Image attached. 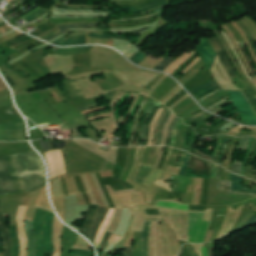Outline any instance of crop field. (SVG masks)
<instances>
[{
	"instance_id": "13",
	"label": "crop field",
	"mask_w": 256,
	"mask_h": 256,
	"mask_svg": "<svg viewBox=\"0 0 256 256\" xmlns=\"http://www.w3.org/2000/svg\"><path fill=\"white\" fill-rule=\"evenodd\" d=\"M7 216L8 214L0 212V229L2 232V237L5 242V251L3 256H10V252H11V241L9 239L8 231L5 225V217Z\"/></svg>"
},
{
	"instance_id": "67",
	"label": "crop field",
	"mask_w": 256,
	"mask_h": 256,
	"mask_svg": "<svg viewBox=\"0 0 256 256\" xmlns=\"http://www.w3.org/2000/svg\"><path fill=\"white\" fill-rule=\"evenodd\" d=\"M204 113H205V112L202 111V112L198 113L197 115L193 116L192 118H190V120H193V119H195V118H197V117L203 115Z\"/></svg>"
},
{
	"instance_id": "6",
	"label": "crop field",
	"mask_w": 256,
	"mask_h": 256,
	"mask_svg": "<svg viewBox=\"0 0 256 256\" xmlns=\"http://www.w3.org/2000/svg\"><path fill=\"white\" fill-rule=\"evenodd\" d=\"M27 207L20 206L17 214V228H18V235L20 240V255L19 256H25L26 250H27V238L25 235L23 220L24 215Z\"/></svg>"
},
{
	"instance_id": "46",
	"label": "crop field",
	"mask_w": 256,
	"mask_h": 256,
	"mask_svg": "<svg viewBox=\"0 0 256 256\" xmlns=\"http://www.w3.org/2000/svg\"><path fill=\"white\" fill-rule=\"evenodd\" d=\"M228 99H229V96H228V97H226L225 99L221 100L220 102H218V103L214 104L213 106L209 107L207 110H209V111H210V110H212V109L216 108L217 106H219V105H221V104L225 103Z\"/></svg>"
},
{
	"instance_id": "51",
	"label": "crop field",
	"mask_w": 256,
	"mask_h": 256,
	"mask_svg": "<svg viewBox=\"0 0 256 256\" xmlns=\"http://www.w3.org/2000/svg\"><path fill=\"white\" fill-rule=\"evenodd\" d=\"M236 124L233 123H228L226 124L224 127L221 128V130L227 131L228 129H230L231 127L235 126Z\"/></svg>"
},
{
	"instance_id": "43",
	"label": "crop field",
	"mask_w": 256,
	"mask_h": 256,
	"mask_svg": "<svg viewBox=\"0 0 256 256\" xmlns=\"http://www.w3.org/2000/svg\"><path fill=\"white\" fill-rule=\"evenodd\" d=\"M183 249L191 256H199L190 245H184Z\"/></svg>"
},
{
	"instance_id": "49",
	"label": "crop field",
	"mask_w": 256,
	"mask_h": 256,
	"mask_svg": "<svg viewBox=\"0 0 256 256\" xmlns=\"http://www.w3.org/2000/svg\"><path fill=\"white\" fill-rule=\"evenodd\" d=\"M107 113H109V112H108V109H107V110H104V111L92 113V114H89V115H85V117H86V118H89V117H92V116L101 115V114H107Z\"/></svg>"
},
{
	"instance_id": "3",
	"label": "crop field",
	"mask_w": 256,
	"mask_h": 256,
	"mask_svg": "<svg viewBox=\"0 0 256 256\" xmlns=\"http://www.w3.org/2000/svg\"><path fill=\"white\" fill-rule=\"evenodd\" d=\"M27 140L24 123L0 125V141Z\"/></svg>"
},
{
	"instance_id": "10",
	"label": "crop field",
	"mask_w": 256,
	"mask_h": 256,
	"mask_svg": "<svg viewBox=\"0 0 256 256\" xmlns=\"http://www.w3.org/2000/svg\"><path fill=\"white\" fill-rule=\"evenodd\" d=\"M163 221V220H159ZM152 220H147L141 236L142 256H149V243L151 235Z\"/></svg>"
},
{
	"instance_id": "72",
	"label": "crop field",
	"mask_w": 256,
	"mask_h": 256,
	"mask_svg": "<svg viewBox=\"0 0 256 256\" xmlns=\"http://www.w3.org/2000/svg\"><path fill=\"white\" fill-rule=\"evenodd\" d=\"M3 245L2 239H1V233H0V246Z\"/></svg>"
},
{
	"instance_id": "21",
	"label": "crop field",
	"mask_w": 256,
	"mask_h": 256,
	"mask_svg": "<svg viewBox=\"0 0 256 256\" xmlns=\"http://www.w3.org/2000/svg\"><path fill=\"white\" fill-rule=\"evenodd\" d=\"M81 25H95V24H75V25H61V26H58L59 29H60V32L58 34H56L55 36L45 40V41H50L52 40L53 38L65 33V32H68V28H80V27H89V26H81ZM103 27H108L107 25H101L100 27H93V28H103Z\"/></svg>"
},
{
	"instance_id": "31",
	"label": "crop field",
	"mask_w": 256,
	"mask_h": 256,
	"mask_svg": "<svg viewBox=\"0 0 256 256\" xmlns=\"http://www.w3.org/2000/svg\"><path fill=\"white\" fill-rule=\"evenodd\" d=\"M154 104H155V103L152 102V104L150 105V107H149V109H148V112H147V114H146V116H145V118H144L143 127H142V133H141V138H140V141H139V143H138L137 146H139V145L142 144V141H143V139H144L145 123H146V121H147V119H148V117H149L150 111H151L152 107L154 106Z\"/></svg>"
},
{
	"instance_id": "57",
	"label": "crop field",
	"mask_w": 256,
	"mask_h": 256,
	"mask_svg": "<svg viewBox=\"0 0 256 256\" xmlns=\"http://www.w3.org/2000/svg\"><path fill=\"white\" fill-rule=\"evenodd\" d=\"M185 154H186V153L182 151V154H181V157H180V160H179L177 166H179V167L182 166V162H183V159H184Z\"/></svg>"
},
{
	"instance_id": "44",
	"label": "crop field",
	"mask_w": 256,
	"mask_h": 256,
	"mask_svg": "<svg viewBox=\"0 0 256 256\" xmlns=\"http://www.w3.org/2000/svg\"><path fill=\"white\" fill-rule=\"evenodd\" d=\"M110 235H111V233L106 232V234H105V236H104V238H103V240H102L101 246H100V247H101V250L104 249V247H105V245H106V243H107V241H108Z\"/></svg>"
},
{
	"instance_id": "7",
	"label": "crop field",
	"mask_w": 256,
	"mask_h": 256,
	"mask_svg": "<svg viewBox=\"0 0 256 256\" xmlns=\"http://www.w3.org/2000/svg\"><path fill=\"white\" fill-rule=\"evenodd\" d=\"M208 40L211 42L214 50L219 55L220 60H221L222 64L225 66L230 78L236 76V73H235V71H234V69H233V67H232V65H231V63H230V61H229V59L226 55V50L222 46L223 44L221 45L220 41L217 38H215L213 40H210V39H208Z\"/></svg>"
},
{
	"instance_id": "53",
	"label": "crop field",
	"mask_w": 256,
	"mask_h": 256,
	"mask_svg": "<svg viewBox=\"0 0 256 256\" xmlns=\"http://www.w3.org/2000/svg\"><path fill=\"white\" fill-rule=\"evenodd\" d=\"M178 119H179V118L175 117V119H174V121H173V123H172V125H171V127H170V129H169L168 137H170V138H171V130H172V128L174 127V125L176 124V122L178 121Z\"/></svg>"
},
{
	"instance_id": "35",
	"label": "crop field",
	"mask_w": 256,
	"mask_h": 256,
	"mask_svg": "<svg viewBox=\"0 0 256 256\" xmlns=\"http://www.w3.org/2000/svg\"><path fill=\"white\" fill-rule=\"evenodd\" d=\"M44 13H46V11L43 10V9H41V10H39V11H37V12H35V13L29 15L28 17H26V18H24V19H25L27 22H28V21H32L33 19L39 17L40 15H42V14H44Z\"/></svg>"
},
{
	"instance_id": "4",
	"label": "crop field",
	"mask_w": 256,
	"mask_h": 256,
	"mask_svg": "<svg viewBox=\"0 0 256 256\" xmlns=\"http://www.w3.org/2000/svg\"><path fill=\"white\" fill-rule=\"evenodd\" d=\"M45 155L47 158L51 179L57 175L66 173L60 150L50 151Z\"/></svg>"
},
{
	"instance_id": "37",
	"label": "crop field",
	"mask_w": 256,
	"mask_h": 256,
	"mask_svg": "<svg viewBox=\"0 0 256 256\" xmlns=\"http://www.w3.org/2000/svg\"><path fill=\"white\" fill-rule=\"evenodd\" d=\"M69 82H70L71 86L74 88V90L76 91L79 98H84L79 86L76 83V81L69 80Z\"/></svg>"
},
{
	"instance_id": "22",
	"label": "crop field",
	"mask_w": 256,
	"mask_h": 256,
	"mask_svg": "<svg viewBox=\"0 0 256 256\" xmlns=\"http://www.w3.org/2000/svg\"><path fill=\"white\" fill-rule=\"evenodd\" d=\"M218 189L223 190L226 193L256 195V194H248V193H240V192L231 191V181L218 180Z\"/></svg>"
},
{
	"instance_id": "70",
	"label": "crop field",
	"mask_w": 256,
	"mask_h": 256,
	"mask_svg": "<svg viewBox=\"0 0 256 256\" xmlns=\"http://www.w3.org/2000/svg\"><path fill=\"white\" fill-rule=\"evenodd\" d=\"M70 256H87V255L70 254Z\"/></svg>"
},
{
	"instance_id": "62",
	"label": "crop field",
	"mask_w": 256,
	"mask_h": 256,
	"mask_svg": "<svg viewBox=\"0 0 256 256\" xmlns=\"http://www.w3.org/2000/svg\"><path fill=\"white\" fill-rule=\"evenodd\" d=\"M210 114H205V115H203V116H201V117H199L198 119H196V120H194L195 122H200L202 119H204V118H206L207 116H209Z\"/></svg>"
},
{
	"instance_id": "38",
	"label": "crop field",
	"mask_w": 256,
	"mask_h": 256,
	"mask_svg": "<svg viewBox=\"0 0 256 256\" xmlns=\"http://www.w3.org/2000/svg\"><path fill=\"white\" fill-rule=\"evenodd\" d=\"M147 55L144 54L142 51L135 56L131 61H133L134 63L138 64L141 60H143Z\"/></svg>"
},
{
	"instance_id": "32",
	"label": "crop field",
	"mask_w": 256,
	"mask_h": 256,
	"mask_svg": "<svg viewBox=\"0 0 256 256\" xmlns=\"http://www.w3.org/2000/svg\"><path fill=\"white\" fill-rule=\"evenodd\" d=\"M172 112L169 110V112L167 113V115L165 116V118L163 119L162 121V125H161V128H160V134H159V140H158V144L157 145H161V142H162V138H163V131H164V126L166 124V121L169 117V115L171 114Z\"/></svg>"
},
{
	"instance_id": "41",
	"label": "crop field",
	"mask_w": 256,
	"mask_h": 256,
	"mask_svg": "<svg viewBox=\"0 0 256 256\" xmlns=\"http://www.w3.org/2000/svg\"><path fill=\"white\" fill-rule=\"evenodd\" d=\"M189 156H190V155L187 154V155H186V158H185V160H184V162H183L182 169H181V171H180V173H179V175H181V176H184V174H185L186 167H187L188 160H189Z\"/></svg>"
},
{
	"instance_id": "20",
	"label": "crop field",
	"mask_w": 256,
	"mask_h": 256,
	"mask_svg": "<svg viewBox=\"0 0 256 256\" xmlns=\"http://www.w3.org/2000/svg\"><path fill=\"white\" fill-rule=\"evenodd\" d=\"M9 235H10V239H11L12 245H13L12 256H18L19 255V241H18L16 226H11V228H9Z\"/></svg>"
},
{
	"instance_id": "40",
	"label": "crop field",
	"mask_w": 256,
	"mask_h": 256,
	"mask_svg": "<svg viewBox=\"0 0 256 256\" xmlns=\"http://www.w3.org/2000/svg\"><path fill=\"white\" fill-rule=\"evenodd\" d=\"M159 1H162V0H159ZM156 2H158V1H156ZM152 3H155V2H152ZM152 3H149V4H152ZM145 5H148V4H145ZM145 5L130 7V8L114 9L113 11L124 10V9H134V8L142 7ZM64 9H79V8H64ZM91 10H107V9H91ZM107 11H111V10H107Z\"/></svg>"
},
{
	"instance_id": "12",
	"label": "crop field",
	"mask_w": 256,
	"mask_h": 256,
	"mask_svg": "<svg viewBox=\"0 0 256 256\" xmlns=\"http://www.w3.org/2000/svg\"><path fill=\"white\" fill-rule=\"evenodd\" d=\"M216 89H222V88L220 87V85L218 83H216L213 80V81H211V82H209V83H207L203 86H200V87H198V88H196V89H194L190 92L194 95V97L197 100V99L205 96L206 94H208V93H210V92H212Z\"/></svg>"
},
{
	"instance_id": "50",
	"label": "crop field",
	"mask_w": 256,
	"mask_h": 256,
	"mask_svg": "<svg viewBox=\"0 0 256 256\" xmlns=\"http://www.w3.org/2000/svg\"><path fill=\"white\" fill-rule=\"evenodd\" d=\"M4 78H5V80L8 82V84L10 85V87L17 86V83L14 82L9 76L6 75Z\"/></svg>"
},
{
	"instance_id": "17",
	"label": "crop field",
	"mask_w": 256,
	"mask_h": 256,
	"mask_svg": "<svg viewBox=\"0 0 256 256\" xmlns=\"http://www.w3.org/2000/svg\"><path fill=\"white\" fill-rule=\"evenodd\" d=\"M53 44L62 45V46L85 45L87 44V41H86V36H81V37L71 38V39L61 38L60 40H58Z\"/></svg>"
},
{
	"instance_id": "65",
	"label": "crop field",
	"mask_w": 256,
	"mask_h": 256,
	"mask_svg": "<svg viewBox=\"0 0 256 256\" xmlns=\"http://www.w3.org/2000/svg\"><path fill=\"white\" fill-rule=\"evenodd\" d=\"M209 250V256H215L214 248H208Z\"/></svg>"
},
{
	"instance_id": "59",
	"label": "crop field",
	"mask_w": 256,
	"mask_h": 256,
	"mask_svg": "<svg viewBox=\"0 0 256 256\" xmlns=\"http://www.w3.org/2000/svg\"><path fill=\"white\" fill-rule=\"evenodd\" d=\"M218 91H220V90H216V91H214V92H212V93L206 95L205 97H203V98H201V99H199V100H197V101L200 103V102L203 101L205 98H207V97L213 95L214 93H216V92H218Z\"/></svg>"
},
{
	"instance_id": "39",
	"label": "crop field",
	"mask_w": 256,
	"mask_h": 256,
	"mask_svg": "<svg viewBox=\"0 0 256 256\" xmlns=\"http://www.w3.org/2000/svg\"><path fill=\"white\" fill-rule=\"evenodd\" d=\"M241 167H242V163L234 162L233 166H232V171L235 172V173L240 174L241 173Z\"/></svg>"
},
{
	"instance_id": "16",
	"label": "crop field",
	"mask_w": 256,
	"mask_h": 256,
	"mask_svg": "<svg viewBox=\"0 0 256 256\" xmlns=\"http://www.w3.org/2000/svg\"><path fill=\"white\" fill-rule=\"evenodd\" d=\"M26 231L29 237L28 240V256L35 255V237L32 230V224L25 220Z\"/></svg>"
},
{
	"instance_id": "8",
	"label": "crop field",
	"mask_w": 256,
	"mask_h": 256,
	"mask_svg": "<svg viewBox=\"0 0 256 256\" xmlns=\"http://www.w3.org/2000/svg\"><path fill=\"white\" fill-rule=\"evenodd\" d=\"M53 213L47 211L44 226H43V233H44V244H45V251L53 252V243H52V226H53Z\"/></svg>"
},
{
	"instance_id": "58",
	"label": "crop field",
	"mask_w": 256,
	"mask_h": 256,
	"mask_svg": "<svg viewBox=\"0 0 256 256\" xmlns=\"http://www.w3.org/2000/svg\"><path fill=\"white\" fill-rule=\"evenodd\" d=\"M133 247H126V256H132Z\"/></svg>"
},
{
	"instance_id": "61",
	"label": "crop field",
	"mask_w": 256,
	"mask_h": 256,
	"mask_svg": "<svg viewBox=\"0 0 256 256\" xmlns=\"http://www.w3.org/2000/svg\"><path fill=\"white\" fill-rule=\"evenodd\" d=\"M109 115H110V114L101 115V116H96V117L89 118L88 120H89V121H92V120H95V119H98V118L107 117V116H109Z\"/></svg>"
},
{
	"instance_id": "69",
	"label": "crop field",
	"mask_w": 256,
	"mask_h": 256,
	"mask_svg": "<svg viewBox=\"0 0 256 256\" xmlns=\"http://www.w3.org/2000/svg\"><path fill=\"white\" fill-rule=\"evenodd\" d=\"M220 169H221V167H220V166H218L217 179H219Z\"/></svg>"
},
{
	"instance_id": "60",
	"label": "crop field",
	"mask_w": 256,
	"mask_h": 256,
	"mask_svg": "<svg viewBox=\"0 0 256 256\" xmlns=\"http://www.w3.org/2000/svg\"><path fill=\"white\" fill-rule=\"evenodd\" d=\"M120 240V237L112 235L110 242H117Z\"/></svg>"
},
{
	"instance_id": "73",
	"label": "crop field",
	"mask_w": 256,
	"mask_h": 256,
	"mask_svg": "<svg viewBox=\"0 0 256 256\" xmlns=\"http://www.w3.org/2000/svg\"><path fill=\"white\" fill-rule=\"evenodd\" d=\"M179 256H183V254L181 253Z\"/></svg>"
},
{
	"instance_id": "9",
	"label": "crop field",
	"mask_w": 256,
	"mask_h": 256,
	"mask_svg": "<svg viewBox=\"0 0 256 256\" xmlns=\"http://www.w3.org/2000/svg\"><path fill=\"white\" fill-rule=\"evenodd\" d=\"M201 58L206 63L209 69H211L214 57L217 55L213 50L209 41L204 38L202 44L197 48Z\"/></svg>"
},
{
	"instance_id": "28",
	"label": "crop field",
	"mask_w": 256,
	"mask_h": 256,
	"mask_svg": "<svg viewBox=\"0 0 256 256\" xmlns=\"http://www.w3.org/2000/svg\"><path fill=\"white\" fill-rule=\"evenodd\" d=\"M146 103H147V101L144 100L142 105H141V107H140V109H139V111H138V113H137V115H136L135 122H134V127H133V132H132V136H131V140H130V143L128 144V146H132V142H133V139H134V136H135V133H136L137 118L140 115V113H141V111H142V109H143V107L145 106Z\"/></svg>"
},
{
	"instance_id": "66",
	"label": "crop field",
	"mask_w": 256,
	"mask_h": 256,
	"mask_svg": "<svg viewBox=\"0 0 256 256\" xmlns=\"http://www.w3.org/2000/svg\"><path fill=\"white\" fill-rule=\"evenodd\" d=\"M44 255V253H36V256H43ZM52 255V253H45V255L44 256H51Z\"/></svg>"
},
{
	"instance_id": "45",
	"label": "crop field",
	"mask_w": 256,
	"mask_h": 256,
	"mask_svg": "<svg viewBox=\"0 0 256 256\" xmlns=\"http://www.w3.org/2000/svg\"><path fill=\"white\" fill-rule=\"evenodd\" d=\"M200 57L198 56V58L192 62L187 68H185L182 72L183 74H185L186 72H188L196 63H198L200 61Z\"/></svg>"
},
{
	"instance_id": "24",
	"label": "crop field",
	"mask_w": 256,
	"mask_h": 256,
	"mask_svg": "<svg viewBox=\"0 0 256 256\" xmlns=\"http://www.w3.org/2000/svg\"><path fill=\"white\" fill-rule=\"evenodd\" d=\"M153 169L150 167H143L141 166L140 171L138 173V176L136 178V181H138L139 183H142V181L149 175V173L152 171Z\"/></svg>"
},
{
	"instance_id": "47",
	"label": "crop field",
	"mask_w": 256,
	"mask_h": 256,
	"mask_svg": "<svg viewBox=\"0 0 256 256\" xmlns=\"http://www.w3.org/2000/svg\"><path fill=\"white\" fill-rule=\"evenodd\" d=\"M229 136H226L224 142H223V146H222V150H221V154H220V158H219V164L221 165V162H222V157H223V152H224V148H225V144L228 140Z\"/></svg>"
},
{
	"instance_id": "63",
	"label": "crop field",
	"mask_w": 256,
	"mask_h": 256,
	"mask_svg": "<svg viewBox=\"0 0 256 256\" xmlns=\"http://www.w3.org/2000/svg\"><path fill=\"white\" fill-rule=\"evenodd\" d=\"M80 35H84V34H82L80 32H76V33L69 35L67 38L76 37V36H80Z\"/></svg>"
},
{
	"instance_id": "14",
	"label": "crop field",
	"mask_w": 256,
	"mask_h": 256,
	"mask_svg": "<svg viewBox=\"0 0 256 256\" xmlns=\"http://www.w3.org/2000/svg\"><path fill=\"white\" fill-rule=\"evenodd\" d=\"M107 211H108V209L101 208V207L98 210L97 216L95 218V221L92 226L91 233H90V240L92 241V243H94V241H95L96 233L99 229V226L102 224Z\"/></svg>"
},
{
	"instance_id": "25",
	"label": "crop field",
	"mask_w": 256,
	"mask_h": 256,
	"mask_svg": "<svg viewBox=\"0 0 256 256\" xmlns=\"http://www.w3.org/2000/svg\"><path fill=\"white\" fill-rule=\"evenodd\" d=\"M159 107L157 106H154L152 112H151V116L147 122V125H146V133H145V140H144V144L143 145H146L147 144V140H148V136H149V129H150V123L152 121V119L154 118V116L156 115L157 111H158Z\"/></svg>"
},
{
	"instance_id": "56",
	"label": "crop field",
	"mask_w": 256,
	"mask_h": 256,
	"mask_svg": "<svg viewBox=\"0 0 256 256\" xmlns=\"http://www.w3.org/2000/svg\"><path fill=\"white\" fill-rule=\"evenodd\" d=\"M72 252H76V253H86V254H92L94 255L93 252H88V251H83V250H75V249H71Z\"/></svg>"
},
{
	"instance_id": "26",
	"label": "crop field",
	"mask_w": 256,
	"mask_h": 256,
	"mask_svg": "<svg viewBox=\"0 0 256 256\" xmlns=\"http://www.w3.org/2000/svg\"><path fill=\"white\" fill-rule=\"evenodd\" d=\"M244 93H245L247 99L251 103V105H252V107H253V109L256 113V96L253 94V92L251 91L249 86L245 89Z\"/></svg>"
},
{
	"instance_id": "27",
	"label": "crop field",
	"mask_w": 256,
	"mask_h": 256,
	"mask_svg": "<svg viewBox=\"0 0 256 256\" xmlns=\"http://www.w3.org/2000/svg\"><path fill=\"white\" fill-rule=\"evenodd\" d=\"M89 36L96 37V38H116V39H139V38H127V37H120V36H112V35H105L100 33H90Z\"/></svg>"
},
{
	"instance_id": "42",
	"label": "crop field",
	"mask_w": 256,
	"mask_h": 256,
	"mask_svg": "<svg viewBox=\"0 0 256 256\" xmlns=\"http://www.w3.org/2000/svg\"><path fill=\"white\" fill-rule=\"evenodd\" d=\"M93 46H86V47H77V48H70V49H57L56 52H61V51H71V50H81V49H86L87 52H89V49H91Z\"/></svg>"
},
{
	"instance_id": "23",
	"label": "crop field",
	"mask_w": 256,
	"mask_h": 256,
	"mask_svg": "<svg viewBox=\"0 0 256 256\" xmlns=\"http://www.w3.org/2000/svg\"><path fill=\"white\" fill-rule=\"evenodd\" d=\"M156 206H158V207H165V208H172V209H178V210H185V211H188V208H189V205L163 203V202H158Z\"/></svg>"
},
{
	"instance_id": "68",
	"label": "crop field",
	"mask_w": 256,
	"mask_h": 256,
	"mask_svg": "<svg viewBox=\"0 0 256 256\" xmlns=\"http://www.w3.org/2000/svg\"><path fill=\"white\" fill-rule=\"evenodd\" d=\"M57 32H59V31L57 30V31H55V32H53V33H51V34H49V35H47V36H45V37H43V38H41V39L44 40V39H46V38H48V37H50V36L56 34Z\"/></svg>"
},
{
	"instance_id": "54",
	"label": "crop field",
	"mask_w": 256,
	"mask_h": 256,
	"mask_svg": "<svg viewBox=\"0 0 256 256\" xmlns=\"http://www.w3.org/2000/svg\"><path fill=\"white\" fill-rule=\"evenodd\" d=\"M254 223H256V215L249 220V222L244 226V228Z\"/></svg>"
},
{
	"instance_id": "30",
	"label": "crop field",
	"mask_w": 256,
	"mask_h": 256,
	"mask_svg": "<svg viewBox=\"0 0 256 256\" xmlns=\"http://www.w3.org/2000/svg\"><path fill=\"white\" fill-rule=\"evenodd\" d=\"M223 138H224L223 135H219V137H218V139H217L218 145L215 147V150H214L213 159H212L213 162L218 163L217 157H218V155H219V149H220L221 142H222Z\"/></svg>"
},
{
	"instance_id": "29",
	"label": "crop field",
	"mask_w": 256,
	"mask_h": 256,
	"mask_svg": "<svg viewBox=\"0 0 256 256\" xmlns=\"http://www.w3.org/2000/svg\"><path fill=\"white\" fill-rule=\"evenodd\" d=\"M163 111V108H160L153 123L151 124V129H150V140H149V144L148 145H152V142H153V136H154V129H155V123L158 119V117L160 116V114L162 113Z\"/></svg>"
},
{
	"instance_id": "71",
	"label": "crop field",
	"mask_w": 256,
	"mask_h": 256,
	"mask_svg": "<svg viewBox=\"0 0 256 256\" xmlns=\"http://www.w3.org/2000/svg\"><path fill=\"white\" fill-rule=\"evenodd\" d=\"M163 7H166V6H163ZM159 8H162V7H159ZM155 9H158V8H155ZM152 10H154V9H151V10H149V11H152ZM149 11H147V12H149ZM144 13V12H143ZM141 14V13H140ZM137 15H139V14H137Z\"/></svg>"
},
{
	"instance_id": "2",
	"label": "crop field",
	"mask_w": 256,
	"mask_h": 256,
	"mask_svg": "<svg viewBox=\"0 0 256 256\" xmlns=\"http://www.w3.org/2000/svg\"><path fill=\"white\" fill-rule=\"evenodd\" d=\"M231 95V100L237 111L240 113L245 122L249 125H256V116L253 114L248 101L241 91H225Z\"/></svg>"
},
{
	"instance_id": "52",
	"label": "crop field",
	"mask_w": 256,
	"mask_h": 256,
	"mask_svg": "<svg viewBox=\"0 0 256 256\" xmlns=\"http://www.w3.org/2000/svg\"><path fill=\"white\" fill-rule=\"evenodd\" d=\"M190 131H191V128H189L186 136H185V144H184V150H187V141H188V137H189V134H190Z\"/></svg>"
},
{
	"instance_id": "33",
	"label": "crop field",
	"mask_w": 256,
	"mask_h": 256,
	"mask_svg": "<svg viewBox=\"0 0 256 256\" xmlns=\"http://www.w3.org/2000/svg\"><path fill=\"white\" fill-rule=\"evenodd\" d=\"M249 139H250V137H242V138L240 139L239 144H238L237 150L241 148L242 151H246L247 143H248Z\"/></svg>"
},
{
	"instance_id": "36",
	"label": "crop field",
	"mask_w": 256,
	"mask_h": 256,
	"mask_svg": "<svg viewBox=\"0 0 256 256\" xmlns=\"http://www.w3.org/2000/svg\"><path fill=\"white\" fill-rule=\"evenodd\" d=\"M174 59H166L160 65H158L155 70L163 71L170 63H172Z\"/></svg>"
},
{
	"instance_id": "18",
	"label": "crop field",
	"mask_w": 256,
	"mask_h": 256,
	"mask_svg": "<svg viewBox=\"0 0 256 256\" xmlns=\"http://www.w3.org/2000/svg\"><path fill=\"white\" fill-rule=\"evenodd\" d=\"M195 52H193L191 54L182 55L177 60H175L169 67H167L165 69V71L172 74L176 69H178L182 64H184L188 59H190Z\"/></svg>"
},
{
	"instance_id": "15",
	"label": "crop field",
	"mask_w": 256,
	"mask_h": 256,
	"mask_svg": "<svg viewBox=\"0 0 256 256\" xmlns=\"http://www.w3.org/2000/svg\"><path fill=\"white\" fill-rule=\"evenodd\" d=\"M114 211H115V209H110L109 210V212H108V214H107L103 224L100 227V230H99V232L97 234V238H96V241H95V247L96 248H98L99 243H100V241H101V239H102V237L104 235V232H105L106 228L109 226V224L111 222V219H112V217L114 215Z\"/></svg>"
},
{
	"instance_id": "48",
	"label": "crop field",
	"mask_w": 256,
	"mask_h": 256,
	"mask_svg": "<svg viewBox=\"0 0 256 256\" xmlns=\"http://www.w3.org/2000/svg\"><path fill=\"white\" fill-rule=\"evenodd\" d=\"M97 106H98L97 103H93V104H89V105L80 107V108H78V110L83 111V110H86V109H89V108H93V107H97Z\"/></svg>"
},
{
	"instance_id": "55",
	"label": "crop field",
	"mask_w": 256,
	"mask_h": 256,
	"mask_svg": "<svg viewBox=\"0 0 256 256\" xmlns=\"http://www.w3.org/2000/svg\"><path fill=\"white\" fill-rule=\"evenodd\" d=\"M36 42H39V40L34 41V42H32V43H29V44H27V45H24V46H22V47H19V48H17L16 50L21 51V50L27 48L28 46H30V45H32V44H34V43H36Z\"/></svg>"
},
{
	"instance_id": "34",
	"label": "crop field",
	"mask_w": 256,
	"mask_h": 256,
	"mask_svg": "<svg viewBox=\"0 0 256 256\" xmlns=\"http://www.w3.org/2000/svg\"><path fill=\"white\" fill-rule=\"evenodd\" d=\"M167 4H169V1H166V2H158V3H155V4H153V5L147 6V7H145V8H141V10L133 12V14H134V13H139V12L144 11V10H148V9H150V8H154V7H158V6H163V5H167ZM137 10H138V9H137ZM131 11H133V10H131ZM127 12H128V11H127Z\"/></svg>"
},
{
	"instance_id": "1",
	"label": "crop field",
	"mask_w": 256,
	"mask_h": 256,
	"mask_svg": "<svg viewBox=\"0 0 256 256\" xmlns=\"http://www.w3.org/2000/svg\"><path fill=\"white\" fill-rule=\"evenodd\" d=\"M29 191L46 185L45 167L34 150L16 155ZM18 192L28 191L14 155L5 157ZM4 157H0V196L17 193Z\"/></svg>"
},
{
	"instance_id": "5",
	"label": "crop field",
	"mask_w": 256,
	"mask_h": 256,
	"mask_svg": "<svg viewBox=\"0 0 256 256\" xmlns=\"http://www.w3.org/2000/svg\"><path fill=\"white\" fill-rule=\"evenodd\" d=\"M45 212V210L38 208L33 220V229L36 237V251L40 252H43L42 226Z\"/></svg>"
},
{
	"instance_id": "11",
	"label": "crop field",
	"mask_w": 256,
	"mask_h": 256,
	"mask_svg": "<svg viewBox=\"0 0 256 256\" xmlns=\"http://www.w3.org/2000/svg\"><path fill=\"white\" fill-rule=\"evenodd\" d=\"M99 205H90L86 219L80 228V232L83 233L87 238L89 237L90 228L93 224L95 215L97 213Z\"/></svg>"
},
{
	"instance_id": "19",
	"label": "crop field",
	"mask_w": 256,
	"mask_h": 256,
	"mask_svg": "<svg viewBox=\"0 0 256 256\" xmlns=\"http://www.w3.org/2000/svg\"><path fill=\"white\" fill-rule=\"evenodd\" d=\"M242 177H238L234 174H232L231 180H232V190L235 191H241V192H249V193H256V191H253L249 188L242 187Z\"/></svg>"
},
{
	"instance_id": "64",
	"label": "crop field",
	"mask_w": 256,
	"mask_h": 256,
	"mask_svg": "<svg viewBox=\"0 0 256 256\" xmlns=\"http://www.w3.org/2000/svg\"><path fill=\"white\" fill-rule=\"evenodd\" d=\"M228 103H231V100H229L227 103H225V104L219 106L218 108H216V109H214V110H212V111H210V112L214 113V112L218 111L219 109H221L222 106H224V105H226V104H228Z\"/></svg>"
}]
</instances>
